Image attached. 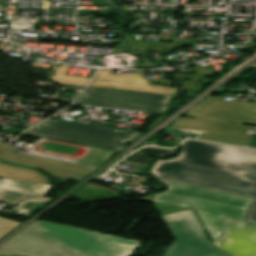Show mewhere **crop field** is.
I'll return each mask as SVG.
<instances>
[{
  "instance_id": "ac0d7876",
  "label": "crop field",
  "mask_w": 256,
  "mask_h": 256,
  "mask_svg": "<svg viewBox=\"0 0 256 256\" xmlns=\"http://www.w3.org/2000/svg\"><path fill=\"white\" fill-rule=\"evenodd\" d=\"M141 243L37 221L3 247L31 256H128Z\"/></svg>"
},
{
  "instance_id": "bc2a9ffb",
  "label": "crop field",
  "mask_w": 256,
  "mask_h": 256,
  "mask_svg": "<svg viewBox=\"0 0 256 256\" xmlns=\"http://www.w3.org/2000/svg\"><path fill=\"white\" fill-rule=\"evenodd\" d=\"M0 256H25V255L0 248Z\"/></svg>"
},
{
  "instance_id": "733c2abd",
  "label": "crop field",
  "mask_w": 256,
  "mask_h": 256,
  "mask_svg": "<svg viewBox=\"0 0 256 256\" xmlns=\"http://www.w3.org/2000/svg\"><path fill=\"white\" fill-rule=\"evenodd\" d=\"M153 204L159 210L161 215L166 214V213H170V212H174V211H178V210H182V209H186V208H182V207H176V206L160 204V203H155V202H153Z\"/></svg>"
},
{
  "instance_id": "214f88e0",
  "label": "crop field",
  "mask_w": 256,
  "mask_h": 256,
  "mask_svg": "<svg viewBox=\"0 0 256 256\" xmlns=\"http://www.w3.org/2000/svg\"><path fill=\"white\" fill-rule=\"evenodd\" d=\"M64 88H71V89H82L83 87L65 85V87H64Z\"/></svg>"
},
{
  "instance_id": "28ad6ade",
  "label": "crop field",
  "mask_w": 256,
  "mask_h": 256,
  "mask_svg": "<svg viewBox=\"0 0 256 256\" xmlns=\"http://www.w3.org/2000/svg\"><path fill=\"white\" fill-rule=\"evenodd\" d=\"M13 150L14 149L10 146L0 142V158L23 165L41 168L58 178L79 181L95 170V168L23 155Z\"/></svg>"
},
{
  "instance_id": "34b2d1b8",
  "label": "crop field",
  "mask_w": 256,
  "mask_h": 256,
  "mask_svg": "<svg viewBox=\"0 0 256 256\" xmlns=\"http://www.w3.org/2000/svg\"><path fill=\"white\" fill-rule=\"evenodd\" d=\"M24 134L121 151L125 148L123 142L128 143L133 141L141 132L52 119Z\"/></svg>"
},
{
  "instance_id": "d1516ede",
  "label": "crop field",
  "mask_w": 256,
  "mask_h": 256,
  "mask_svg": "<svg viewBox=\"0 0 256 256\" xmlns=\"http://www.w3.org/2000/svg\"><path fill=\"white\" fill-rule=\"evenodd\" d=\"M153 201L195 209L205 228L221 217V202L156 193Z\"/></svg>"
},
{
  "instance_id": "cbeb9de0",
  "label": "crop field",
  "mask_w": 256,
  "mask_h": 256,
  "mask_svg": "<svg viewBox=\"0 0 256 256\" xmlns=\"http://www.w3.org/2000/svg\"><path fill=\"white\" fill-rule=\"evenodd\" d=\"M0 176L23 181L37 182L48 184L47 177L39 171H30L0 163Z\"/></svg>"
},
{
  "instance_id": "3316defc",
  "label": "crop field",
  "mask_w": 256,
  "mask_h": 256,
  "mask_svg": "<svg viewBox=\"0 0 256 256\" xmlns=\"http://www.w3.org/2000/svg\"><path fill=\"white\" fill-rule=\"evenodd\" d=\"M214 243L230 256H256V223L226 217L225 235Z\"/></svg>"
},
{
  "instance_id": "4a817a6b",
  "label": "crop field",
  "mask_w": 256,
  "mask_h": 256,
  "mask_svg": "<svg viewBox=\"0 0 256 256\" xmlns=\"http://www.w3.org/2000/svg\"><path fill=\"white\" fill-rule=\"evenodd\" d=\"M68 68L69 66L67 65H63L60 68L52 67V69H55L54 75H60V76H69V75H65ZM72 77H75V76H72Z\"/></svg>"
},
{
  "instance_id": "e52e79f7",
  "label": "crop field",
  "mask_w": 256,
  "mask_h": 256,
  "mask_svg": "<svg viewBox=\"0 0 256 256\" xmlns=\"http://www.w3.org/2000/svg\"><path fill=\"white\" fill-rule=\"evenodd\" d=\"M158 182H162L168 186L165 193L222 201V217L206 228L213 242L224 235L225 216L246 220L250 205L256 200L242 195L168 181L158 180Z\"/></svg>"
},
{
  "instance_id": "dd49c442",
  "label": "crop field",
  "mask_w": 256,
  "mask_h": 256,
  "mask_svg": "<svg viewBox=\"0 0 256 256\" xmlns=\"http://www.w3.org/2000/svg\"><path fill=\"white\" fill-rule=\"evenodd\" d=\"M172 97L87 87L76 103L164 114Z\"/></svg>"
},
{
  "instance_id": "92a150f3",
  "label": "crop field",
  "mask_w": 256,
  "mask_h": 256,
  "mask_svg": "<svg viewBox=\"0 0 256 256\" xmlns=\"http://www.w3.org/2000/svg\"><path fill=\"white\" fill-rule=\"evenodd\" d=\"M78 94V92H75V94L73 95V97L71 98L70 101H73V99L75 98V96Z\"/></svg>"
},
{
  "instance_id": "22f410ed",
  "label": "crop field",
  "mask_w": 256,
  "mask_h": 256,
  "mask_svg": "<svg viewBox=\"0 0 256 256\" xmlns=\"http://www.w3.org/2000/svg\"><path fill=\"white\" fill-rule=\"evenodd\" d=\"M89 86L109 88V89L118 88L121 90L168 94V95H174V91H175V88H169V87L143 85V84H132V83L109 82V81H98V80H92V82L89 84Z\"/></svg>"
},
{
  "instance_id": "f4fd0767",
  "label": "crop field",
  "mask_w": 256,
  "mask_h": 256,
  "mask_svg": "<svg viewBox=\"0 0 256 256\" xmlns=\"http://www.w3.org/2000/svg\"><path fill=\"white\" fill-rule=\"evenodd\" d=\"M174 129L199 133L195 137L175 132ZM166 134L256 147L255 126L181 117L168 128Z\"/></svg>"
},
{
  "instance_id": "d9b57169",
  "label": "crop field",
  "mask_w": 256,
  "mask_h": 256,
  "mask_svg": "<svg viewBox=\"0 0 256 256\" xmlns=\"http://www.w3.org/2000/svg\"><path fill=\"white\" fill-rule=\"evenodd\" d=\"M54 83L60 84H70V85H78V86H85L88 79L83 78H71V77H59V76H45Z\"/></svg>"
},
{
  "instance_id": "5a996713",
  "label": "crop field",
  "mask_w": 256,
  "mask_h": 256,
  "mask_svg": "<svg viewBox=\"0 0 256 256\" xmlns=\"http://www.w3.org/2000/svg\"><path fill=\"white\" fill-rule=\"evenodd\" d=\"M50 187V185L3 178L0 182V200L20 204L16 208L18 214L30 216L51 200L43 197Z\"/></svg>"
},
{
  "instance_id": "412701ff",
  "label": "crop field",
  "mask_w": 256,
  "mask_h": 256,
  "mask_svg": "<svg viewBox=\"0 0 256 256\" xmlns=\"http://www.w3.org/2000/svg\"><path fill=\"white\" fill-rule=\"evenodd\" d=\"M174 237L163 256H227L215 249L193 210L162 216Z\"/></svg>"
},
{
  "instance_id": "8a807250",
  "label": "crop field",
  "mask_w": 256,
  "mask_h": 256,
  "mask_svg": "<svg viewBox=\"0 0 256 256\" xmlns=\"http://www.w3.org/2000/svg\"><path fill=\"white\" fill-rule=\"evenodd\" d=\"M151 173L157 179L256 198V150L252 149L187 140L178 156L157 160ZM247 220L256 222V201Z\"/></svg>"
},
{
  "instance_id": "5142ce71",
  "label": "crop field",
  "mask_w": 256,
  "mask_h": 256,
  "mask_svg": "<svg viewBox=\"0 0 256 256\" xmlns=\"http://www.w3.org/2000/svg\"><path fill=\"white\" fill-rule=\"evenodd\" d=\"M94 79L148 84L147 80H144L142 72L113 75L111 70L102 69L98 71Z\"/></svg>"
},
{
  "instance_id": "d8731c3e",
  "label": "crop field",
  "mask_w": 256,
  "mask_h": 256,
  "mask_svg": "<svg viewBox=\"0 0 256 256\" xmlns=\"http://www.w3.org/2000/svg\"><path fill=\"white\" fill-rule=\"evenodd\" d=\"M210 96L184 114L187 117L256 125V104L223 101Z\"/></svg>"
}]
</instances>
